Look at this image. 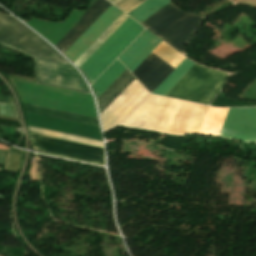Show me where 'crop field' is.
Instances as JSON below:
<instances>
[{
  "label": "crop field",
  "instance_id": "8a807250",
  "mask_svg": "<svg viewBox=\"0 0 256 256\" xmlns=\"http://www.w3.org/2000/svg\"><path fill=\"white\" fill-rule=\"evenodd\" d=\"M205 19L182 12L171 2L141 24L182 53L185 44Z\"/></svg>",
  "mask_w": 256,
  "mask_h": 256
},
{
  "label": "crop field",
  "instance_id": "ac0d7876",
  "mask_svg": "<svg viewBox=\"0 0 256 256\" xmlns=\"http://www.w3.org/2000/svg\"><path fill=\"white\" fill-rule=\"evenodd\" d=\"M0 44L33 58L69 64L29 28L3 14H0Z\"/></svg>",
  "mask_w": 256,
  "mask_h": 256
},
{
  "label": "crop field",
  "instance_id": "34b2d1b8",
  "mask_svg": "<svg viewBox=\"0 0 256 256\" xmlns=\"http://www.w3.org/2000/svg\"><path fill=\"white\" fill-rule=\"evenodd\" d=\"M227 77L226 73L195 64L165 96L209 105Z\"/></svg>",
  "mask_w": 256,
  "mask_h": 256
},
{
  "label": "crop field",
  "instance_id": "412701ff",
  "mask_svg": "<svg viewBox=\"0 0 256 256\" xmlns=\"http://www.w3.org/2000/svg\"><path fill=\"white\" fill-rule=\"evenodd\" d=\"M144 30L129 17L80 67L90 84L117 58V56Z\"/></svg>",
  "mask_w": 256,
  "mask_h": 256
},
{
  "label": "crop field",
  "instance_id": "f4fd0767",
  "mask_svg": "<svg viewBox=\"0 0 256 256\" xmlns=\"http://www.w3.org/2000/svg\"><path fill=\"white\" fill-rule=\"evenodd\" d=\"M31 147L48 154L104 165V150L101 147L32 134Z\"/></svg>",
  "mask_w": 256,
  "mask_h": 256
},
{
  "label": "crop field",
  "instance_id": "dd49c442",
  "mask_svg": "<svg viewBox=\"0 0 256 256\" xmlns=\"http://www.w3.org/2000/svg\"><path fill=\"white\" fill-rule=\"evenodd\" d=\"M35 64L38 82L90 93L72 66L37 59Z\"/></svg>",
  "mask_w": 256,
  "mask_h": 256
},
{
  "label": "crop field",
  "instance_id": "e52e79f7",
  "mask_svg": "<svg viewBox=\"0 0 256 256\" xmlns=\"http://www.w3.org/2000/svg\"><path fill=\"white\" fill-rule=\"evenodd\" d=\"M169 100L149 95L121 125L158 131Z\"/></svg>",
  "mask_w": 256,
  "mask_h": 256
},
{
  "label": "crop field",
  "instance_id": "d8731c3e",
  "mask_svg": "<svg viewBox=\"0 0 256 256\" xmlns=\"http://www.w3.org/2000/svg\"><path fill=\"white\" fill-rule=\"evenodd\" d=\"M219 136L256 143V108H230Z\"/></svg>",
  "mask_w": 256,
  "mask_h": 256
},
{
  "label": "crop field",
  "instance_id": "5a996713",
  "mask_svg": "<svg viewBox=\"0 0 256 256\" xmlns=\"http://www.w3.org/2000/svg\"><path fill=\"white\" fill-rule=\"evenodd\" d=\"M121 13L111 5L64 54L74 63Z\"/></svg>",
  "mask_w": 256,
  "mask_h": 256
},
{
  "label": "crop field",
  "instance_id": "3316defc",
  "mask_svg": "<svg viewBox=\"0 0 256 256\" xmlns=\"http://www.w3.org/2000/svg\"><path fill=\"white\" fill-rule=\"evenodd\" d=\"M173 69L151 53L132 73L152 93Z\"/></svg>",
  "mask_w": 256,
  "mask_h": 256
},
{
  "label": "crop field",
  "instance_id": "28ad6ade",
  "mask_svg": "<svg viewBox=\"0 0 256 256\" xmlns=\"http://www.w3.org/2000/svg\"><path fill=\"white\" fill-rule=\"evenodd\" d=\"M161 41L145 30L119 59L132 72Z\"/></svg>",
  "mask_w": 256,
  "mask_h": 256
},
{
  "label": "crop field",
  "instance_id": "d1516ede",
  "mask_svg": "<svg viewBox=\"0 0 256 256\" xmlns=\"http://www.w3.org/2000/svg\"><path fill=\"white\" fill-rule=\"evenodd\" d=\"M110 5L105 0H96L79 22L55 46L64 53Z\"/></svg>",
  "mask_w": 256,
  "mask_h": 256
},
{
  "label": "crop field",
  "instance_id": "22f410ed",
  "mask_svg": "<svg viewBox=\"0 0 256 256\" xmlns=\"http://www.w3.org/2000/svg\"><path fill=\"white\" fill-rule=\"evenodd\" d=\"M135 78L126 69L112 85L97 99L99 113H101Z\"/></svg>",
  "mask_w": 256,
  "mask_h": 256
},
{
  "label": "crop field",
  "instance_id": "cbeb9de0",
  "mask_svg": "<svg viewBox=\"0 0 256 256\" xmlns=\"http://www.w3.org/2000/svg\"><path fill=\"white\" fill-rule=\"evenodd\" d=\"M26 110L33 113H38L42 115L52 116L56 118H61L65 120H70L74 122L84 123L88 125H93L99 127L98 120L95 118H90L86 116L76 115L72 113L62 112L58 110L48 109L44 107L34 106L30 104H25Z\"/></svg>",
  "mask_w": 256,
  "mask_h": 256
},
{
  "label": "crop field",
  "instance_id": "5142ce71",
  "mask_svg": "<svg viewBox=\"0 0 256 256\" xmlns=\"http://www.w3.org/2000/svg\"><path fill=\"white\" fill-rule=\"evenodd\" d=\"M229 108H209L200 134L219 135Z\"/></svg>",
  "mask_w": 256,
  "mask_h": 256
},
{
  "label": "crop field",
  "instance_id": "d9b57169",
  "mask_svg": "<svg viewBox=\"0 0 256 256\" xmlns=\"http://www.w3.org/2000/svg\"><path fill=\"white\" fill-rule=\"evenodd\" d=\"M126 68L116 60L93 84L97 97H99L108 86L125 70Z\"/></svg>",
  "mask_w": 256,
  "mask_h": 256
},
{
  "label": "crop field",
  "instance_id": "733c2abd",
  "mask_svg": "<svg viewBox=\"0 0 256 256\" xmlns=\"http://www.w3.org/2000/svg\"><path fill=\"white\" fill-rule=\"evenodd\" d=\"M193 65L185 58L153 93L164 96Z\"/></svg>",
  "mask_w": 256,
  "mask_h": 256
},
{
  "label": "crop field",
  "instance_id": "4a817a6b",
  "mask_svg": "<svg viewBox=\"0 0 256 256\" xmlns=\"http://www.w3.org/2000/svg\"><path fill=\"white\" fill-rule=\"evenodd\" d=\"M171 2L170 0H147L143 4H141L139 7L131 11L129 14L130 17H132L137 22H142L146 18H148L150 15L164 7L166 4Z\"/></svg>",
  "mask_w": 256,
  "mask_h": 256
},
{
  "label": "crop field",
  "instance_id": "bc2a9ffb",
  "mask_svg": "<svg viewBox=\"0 0 256 256\" xmlns=\"http://www.w3.org/2000/svg\"><path fill=\"white\" fill-rule=\"evenodd\" d=\"M127 17L122 13L74 64L79 67Z\"/></svg>",
  "mask_w": 256,
  "mask_h": 256
},
{
  "label": "crop field",
  "instance_id": "214f88e0",
  "mask_svg": "<svg viewBox=\"0 0 256 256\" xmlns=\"http://www.w3.org/2000/svg\"><path fill=\"white\" fill-rule=\"evenodd\" d=\"M28 128L30 131L38 132L41 134L103 147L102 142H100V141H95V140H91V139L81 138V137H77V136L67 135V134H63V133L53 132V131L39 129V128H35V127H30V126H28Z\"/></svg>",
  "mask_w": 256,
  "mask_h": 256
},
{
  "label": "crop field",
  "instance_id": "92a150f3",
  "mask_svg": "<svg viewBox=\"0 0 256 256\" xmlns=\"http://www.w3.org/2000/svg\"><path fill=\"white\" fill-rule=\"evenodd\" d=\"M22 154L23 151L12 148L7 157L5 170L17 172Z\"/></svg>",
  "mask_w": 256,
  "mask_h": 256
},
{
  "label": "crop field",
  "instance_id": "dafd665d",
  "mask_svg": "<svg viewBox=\"0 0 256 256\" xmlns=\"http://www.w3.org/2000/svg\"><path fill=\"white\" fill-rule=\"evenodd\" d=\"M108 1L127 14L131 10H133L135 7L140 5L142 2H144L145 0H108Z\"/></svg>",
  "mask_w": 256,
  "mask_h": 256
},
{
  "label": "crop field",
  "instance_id": "00972430",
  "mask_svg": "<svg viewBox=\"0 0 256 256\" xmlns=\"http://www.w3.org/2000/svg\"><path fill=\"white\" fill-rule=\"evenodd\" d=\"M0 114L17 118L13 105L0 103Z\"/></svg>",
  "mask_w": 256,
  "mask_h": 256
},
{
  "label": "crop field",
  "instance_id": "a9b5d70f",
  "mask_svg": "<svg viewBox=\"0 0 256 256\" xmlns=\"http://www.w3.org/2000/svg\"><path fill=\"white\" fill-rule=\"evenodd\" d=\"M0 102L13 104L12 100H11V97H7V96H0Z\"/></svg>",
  "mask_w": 256,
  "mask_h": 256
},
{
  "label": "crop field",
  "instance_id": "4177f3b9",
  "mask_svg": "<svg viewBox=\"0 0 256 256\" xmlns=\"http://www.w3.org/2000/svg\"><path fill=\"white\" fill-rule=\"evenodd\" d=\"M0 149L8 150V149H9V147H7V146H5V145H3V144H1V143H0Z\"/></svg>",
  "mask_w": 256,
  "mask_h": 256
}]
</instances>
